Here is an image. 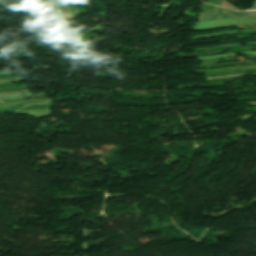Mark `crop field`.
<instances>
[{"instance_id": "crop-field-4", "label": "crop field", "mask_w": 256, "mask_h": 256, "mask_svg": "<svg viewBox=\"0 0 256 256\" xmlns=\"http://www.w3.org/2000/svg\"><path fill=\"white\" fill-rule=\"evenodd\" d=\"M63 6H64V14H65V18L68 19L69 14H68V6H67V0H63Z\"/></svg>"}, {"instance_id": "crop-field-2", "label": "crop field", "mask_w": 256, "mask_h": 256, "mask_svg": "<svg viewBox=\"0 0 256 256\" xmlns=\"http://www.w3.org/2000/svg\"><path fill=\"white\" fill-rule=\"evenodd\" d=\"M69 12H70L72 18L79 15L77 8H76L75 0H69Z\"/></svg>"}, {"instance_id": "crop-field-1", "label": "crop field", "mask_w": 256, "mask_h": 256, "mask_svg": "<svg viewBox=\"0 0 256 256\" xmlns=\"http://www.w3.org/2000/svg\"><path fill=\"white\" fill-rule=\"evenodd\" d=\"M249 15H256V11L236 12V11L218 7V8L200 13L199 21L229 18V17L249 16Z\"/></svg>"}, {"instance_id": "crop-field-7", "label": "crop field", "mask_w": 256, "mask_h": 256, "mask_svg": "<svg viewBox=\"0 0 256 256\" xmlns=\"http://www.w3.org/2000/svg\"><path fill=\"white\" fill-rule=\"evenodd\" d=\"M85 4L83 0H77V5Z\"/></svg>"}, {"instance_id": "crop-field-8", "label": "crop field", "mask_w": 256, "mask_h": 256, "mask_svg": "<svg viewBox=\"0 0 256 256\" xmlns=\"http://www.w3.org/2000/svg\"><path fill=\"white\" fill-rule=\"evenodd\" d=\"M86 2H91V0H85Z\"/></svg>"}, {"instance_id": "crop-field-3", "label": "crop field", "mask_w": 256, "mask_h": 256, "mask_svg": "<svg viewBox=\"0 0 256 256\" xmlns=\"http://www.w3.org/2000/svg\"><path fill=\"white\" fill-rule=\"evenodd\" d=\"M57 3H58V12H59V16H60L59 22H60V24H63L66 21L64 19L63 11H62V0H57Z\"/></svg>"}, {"instance_id": "crop-field-6", "label": "crop field", "mask_w": 256, "mask_h": 256, "mask_svg": "<svg viewBox=\"0 0 256 256\" xmlns=\"http://www.w3.org/2000/svg\"><path fill=\"white\" fill-rule=\"evenodd\" d=\"M240 28L255 29V28H256V25L240 26Z\"/></svg>"}, {"instance_id": "crop-field-5", "label": "crop field", "mask_w": 256, "mask_h": 256, "mask_svg": "<svg viewBox=\"0 0 256 256\" xmlns=\"http://www.w3.org/2000/svg\"><path fill=\"white\" fill-rule=\"evenodd\" d=\"M15 79H23V75L22 76H13V77L0 78V81L15 80Z\"/></svg>"}]
</instances>
